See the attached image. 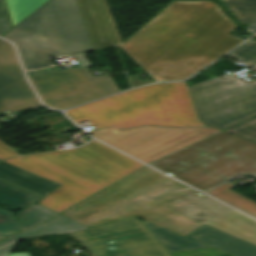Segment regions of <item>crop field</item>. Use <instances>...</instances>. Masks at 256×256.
I'll use <instances>...</instances> for the list:
<instances>
[{
    "instance_id": "obj_1",
    "label": "crop field",
    "mask_w": 256,
    "mask_h": 256,
    "mask_svg": "<svg viewBox=\"0 0 256 256\" xmlns=\"http://www.w3.org/2000/svg\"><path fill=\"white\" fill-rule=\"evenodd\" d=\"M195 192L145 166L62 214L89 227L137 216L183 236L206 224L256 245L255 220Z\"/></svg>"
},
{
    "instance_id": "obj_2",
    "label": "crop field",
    "mask_w": 256,
    "mask_h": 256,
    "mask_svg": "<svg viewBox=\"0 0 256 256\" xmlns=\"http://www.w3.org/2000/svg\"><path fill=\"white\" fill-rule=\"evenodd\" d=\"M118 47L156 81L183 80L243 40L211 1H173L121 44L105 0H101Z\"/></svg>"
},
{
    "instance_id": "obj_3",
    "label": "crop field",
    "mask_w": 256,
    "mask_h": 256,
    "mask_svg": "<svg viewBox=\"0 0 256 256\" xmlns=\"http://www.w3.org/2000/svg\"><path fill=\"white\" fill-rule=\"evenodd\" d=\"M16 155L0 141V159ZM4 161L62 185L37 202L58 213L144 166L95 140L76 149Z\"/></svg>"
},
{
    "instance_id": "obj_4",
    "label": "crop field",
    "mask_w": 256,
    "mask_h": 256,
    "mask_svg": "<svg viewBox=\"0 0 256 256\" xmlns=\"http://www.w3.org/2000/svg\"><path fill=\"white\" fill-rule=\"evenodd\" d=\"M76 123L88 120L97 130L144 125L201 127L186 83L156 84L136 88L70 111Z\"/></svg>"
},
{
    "instance_id": "obj_5",
    "label": "crop field",
    "mask_w": 256,
    "mask_h": 256,
    "mask_svg": "<svg viewBox=\"0 0 256 256\" xmlns=\"http://www.w3.org/2000/svg\"><path fill=\"white\" fill-rule=\"evenodd\" d=\"M14 42L25 70L50 66L46 56L93 50L75 0H50L3 36Z\"/></svg>"
},
{
    "instance_id": "obj_6",
    "label": "crop field",
    "mask_w": 256,
    "mask_h": 256,
    "mask_svg": "<svg viewBox=\"0 0 256 256\" xmlns=\"http://www.w3.org/2000/svg\"><path fill=\"white\" fill-rule=\"evenodd\" d=\"M150 165L205 191L240 173L256 177V143L220 131Z\"/></svg>"
},
{
    "instance_id": "obj_7",
    "label": "crop field",
    "mask_w": 256,
    "mask_h": 256,
    "mask_svg": "<svg viewBox=\"0 0 256 256\" xmlns=\"http://www.w3.org/2000/svg\"><path fill=\"white\" fill-rule=\"evenodd\" d=\"M198 119L225 130L256 117V80L225 75L189 88Z\"/></svg>"
},
{
    "instance_id": "obj_8",
    "label": "crop field",
    "mask_w": 256,
    "mask_h": 256,
    "mask_svg": "<svg viewBox=\"0 0 256 256\" xmlns=\"http://www.w3.org/2000/svg\"><path fill=\"white\" fill-rule=\"evenodd\" d=\"M220 130L214 128H167L144 126L119 131L112 128L92 136L148 164Z\"/></svg>"
},
{
    "instance_id": "obj_9",
    "label": "crop field",
    "mask_w": 256,
    "mask_h": 256,
    "mask_svg": "<svg viewBox=\"0 0 256 256\" xmlns=\"http://www.w3.org/2000/svg\"><path fill=\"white\" fill-rule=\"evenodd\" d=\"M72 234L93 256H171L137 217Z\"/></svg>"
},
{
    "instance_id": "obj_10",
    "label": "crop field",
    "mask_w": 256,
    "mask_h": 256,
    "mask_svg": "<svg viewBox=\"0 0 256 256\" xmlns=\"http://www.w3.org/2000/svg\"><path fill=\"white\" fill-rule=\"evenodd\" d=\"M43 102L66 109L118 92L110 75L93 78L87 68L29 77Z\"/></svg>"
},
{
    "instance_id": "obj_11",
    "label": "crop field",
    "mask_w": 256,
    "mask_h": 256,
    "mask_svg": "<svg viewBox=\"0 0 256 256\" xmlns=\"http://www.w3.org/2000/svg\"><path fill=\"white\" fill-rule=\"evenodd\" d=\"M42 106L19 67L12 44L0 39V112Z\"/></svg>"
},
{
    "instance_id": "obj_12",
    "label": "crop field",
    "mask_w": 256,
    "mask_h": 256,
    "mask_svg": "<svg viewBox=\"0 0 256 256\" xmlns=\"http://www.w3.org/2000/svg\"><path fill=\"white\" fill-rule=\"evenodd\" d=\"M93 49L117 46L100 0H76Z\"/></svg>"
},
{
    "instance_id": "obj_13",
    "label": "crop field",
    "mask_w": 256,
    "mask_h": 256,
    "mask_svg": "<svg viewBox=\"0 0 256 256\" xmlns=\"http://www.w3.org/2000/svg\"><path fill=\"white\" fill-rule=\"evenodd\" d=\"M186 237L214 247L233 256H256V246L248 242L212 229L201 226Z\"/></svg>"
},
{
    "instance_id": "obj_14",
    "label": "crop field",
    "mask_w": 256,
    "mask_h": 256,
    "mask_svg": "<svg viewBox=\"0 0 256 256\" xmlns=\"http://www.w3.org/2000/svg\"><path fill=\"white\" fill-rule=\"evenodd\" d=\"M0 180L42 198L60 186L4 161L0 162Z\"/></svg>"
},
{
    "instance_id": "obj_15",
    "label": "crop field",
    "mask_w": 256,
    "mask_h": 256,
    "mask_svg": "<svg viewBox=\"0 0 256 256\" xmlns=\"http://www.w3.org/2000/svg\"><path fill=\"white\" fill-rule=\"evenodd\" d=\"M82 229H87V227L79 223L73 222L61 215H58L50 219L48 222L38 225L29 231L14 234L6 239L1 240L0 247L14 241H18L22 238L30 237L34 235H41L45 233H59L64 231L73 232V231H78Z\"/></svg>"
},
{
    "instance_id": "obj_16",
    "label": "crop field",
    "mask_w": 256,
    "mask_h": 256,
    "mask_svg": "<svg viewBox=\"0 0 256 256\" xmlns=\"http://www.w3.org/2000/svg\"><path fill=\"white\" fill-rule=\"evenodd\" d=\"M143 223L159 240V242L166 248L168 252L209 248V246L198 243L192 239L183 237L179 234H176L172 231H169L148 221Z\"/></svg>"
},
{
    "instance_id": "obj_17",
    "label": "crop field",
    "mask_w": 256,
    "mask_h": 256,
    "mask_svg": "<svg viewBox=\"0 0 256 256\" xmlns=\"http://www.w3.org/2000/svg\"><path fill=\"white\" fill-rule=\"evenodd\" d=\"M233 187L235 185L227 182L207 193L256 217V202L230 190Z\"/></svg>"
},
{
    "instance_id": "obj_18",
    "label": "crop field",
    "mask_w": 256,
    "mask_h": 256,
    "mask_svg": "<svg viewBox=\"0 0 256 256\" xmlns=\"http://www.w3.org/2000/svg\"><path fill=\"white\" fill-rule=\"evenodd\" d=\"M6 183L0 181V202L20 209L42 199Z\"/></svg>"
},
{
    "instance_id": "obj_19",
    "label": "crop field",
    "mask_w": 256,
    "mask_h": 256,
    "mask_svg": "<svg viewBox=\"0 0 256 256\" xmlns=\"http://www.w3.org/2000/svg\"><path fill=\"white\" fill-rule=\"evenodd\" d=\"M224 6L241 22L250 24L256 20V0H220Z\"/></svg>"
},
{
    "instance_id": "obj_20",
    "label": "crop field",
    "mask_w": 256,
    "mask_h": 256,
    "mask_svg": "<svg viewBox=\"0 0 256 256\" xmlns=\"http://www.w3.org/2000/svg\"><path fill=\"white\" fill-rule=\"evenodd\" d=\"M54 215L56 214L39 205H33L18 212L16 218L21 230L24 231L51 218Z\"/></svg>"
},
{
    "instance_id": "obj_21",
    "label": "crop field",
    "mask_w": 256,
    "mask_h": 256,
    "mask_svg": "<svg viewBox=\"0 0 256 256\" xmlns=\"http://www.w3.org/2000/svg\"><path fill=\"white\" fill-rule=\"evenodd\" d=\"M14 27L48 0H6Z\"/></svg>"
},
{
    "instance_id": "obj_22",
    "label": "crop field",
    "mask_w": 256,
    "mask_h": 256,
    "mask_svg": "<svg viewBox=\"0 0 256 256\" xmlns=\"http://www.w3.org/2000/svg\"><path fill=\"white\" fill-rule=\"evenodd\" d=\"M228 56L242 60L256 68V40L253 39L247 42L245 45L231 52Z\"/></svg>"
},
{
    "instance_id": "obj_23",
    "label": "crop field",
    "mask_w": 256,
    "mask_h": 256,
    "mask_svg": "<svg viewBox=\"0 0 256 256\" xmlns=\"http://www.w3.org/2000/svg\"><path fill=\"white\" fill-rule=\"evenodd\" d=\"M20 231L14 214L0 209V235L6 237Z\"/></svg>"
},
{
    "instance_id": "obj_24",
    "label": "crop field",
    "mask_w": 256,
    "mask_h": 256,
    "mask_svg": "<svg viewBox=\"0 0 256 256\" xmlns=\"http://www.w3.org/2000/svg\"><path fill=\"white\" fill-rule=\"evenodd\" d=\"M225 131L256 142V118Z\"/></svg>"
},
{
    "instance_id": "obj_25",
    "label": "crop field",
    "mask_w": 256,
    "mask_h": 256,
    "mask_svg": "<svg viewBox=\"0 0 256 256\" xmlns=\"http://www.w3.org/2000/svg\"><path fill=\"white\" fill-rule=\"evenodd\" d=\"M74 59L77 61L79 67L69 68L67 70L89 67L90 66L89 62L87 61V59L84 55L75 56ZM61 71H64V70H61ZM50 72H57V71L56 70H54V71H51V70L45 71V70H42V69H38V70H34V71H29V72H26V73H27V76H31V75H37V74L50 73Z\"/></svg>"
},
{
    "instance_id": "obj_26",
    "label": "crop field",
    "mask_w": 256,
    "mask_h": 256,
    "mask_svg": "<svg viewBox=\"0 0 256 256\" xmlns=\"http://www.w3.org/2000/svg\"><path fill=\"white\" fill-rule=\"evenodd\" d=\"M10 29L4 0H0V36Z\"/></svg>"
},
{
    "instance_id": "obj_27",
    "label": "crop field",
    "mask_w": 256,
    "mask_h": 256,
    "mask_svg": "<svg viewBox=\"0 0 256 256\" xmlns=\"http://www.w3.org/2000/svg\"><path fill=\"white\" fill-rule=\"evenodd\" d=\"M15 245L16 243L1 249L0 256H7L11 252V250L14 248Z\"/></svg>"
},
{
    "instance_id": "obj_28",
    "label": "crop field",
    "mask_w": 256,
    "mask_h": 256,
    "mask_svg": "<svg viewBox=\"0 0 256 256\" xmlns=\"http://www.w3.org/2000/svg\"><path fill=\"white\" fill-rule=\"evenodd\" d=\"M246 30L250 33H255L256 32V21L250 24L248 27H246Z\"/></svg>"
},
{
    "instance_id": "obj_29",
    "label": "crop field",
    "mask_w": 256,
    "mask_h": 256,
    "mask_svg": "<svg viewBox=\"0 0 256 256\" xmlns=\"http://www.w3.org/2000/svg\"><path fill=\"white\" fill-rule=\"evenodd\" d=\"M8 256H30L29 253L9 254Z\"/></svg>"
},
{
    "instance_id": "obj_30",
    "label": "crop field",
    "mask_w": 256,
    "mask_h": 256,
    "mask_svg": "<svg viewBox=\"0 0 256 256\" xmlns=\"http://www.w3.org/2000/svg\"><path fill=\"white\" fill-rule=\"evenodd\" d=\"M2 238H4V237H1V236H0V239H2Z\"/></svg>"
}]
</instances>
